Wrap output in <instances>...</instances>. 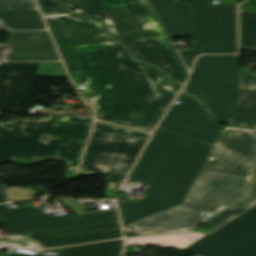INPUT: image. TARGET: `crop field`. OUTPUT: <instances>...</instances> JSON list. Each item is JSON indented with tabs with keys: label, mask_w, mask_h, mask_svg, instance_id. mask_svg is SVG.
I'll list each match as a JSON object with an SVG mask.
<instances>
[{
	"label": "crop field",
	"mask_w": 256,
	"mask_h": 256,
	"mask_svg": "<svg viewBox=\"0 0 256 256\" xmlns=\"http://www.w3.org/2000/svg\"><path fill=\"white\" fill-rule=\"evenodd\" d=\"M59 50L99 119L151 133L177 94L159 70L133 61L118 43Z\"/></svg>",
	"instance_id": "obj_1"
},
{
	"label": "crop field",
	"mask_w": 256,
	"mask_h": 256,
	"mask_svg": "<svg viewBox=\"0 0 256 256\" xmlns=\"http://www.w3.org/2000/svg\"><path fill=\"white\" fill-rule=\"evenodd\" d=\"M256 130L224 127L184 204L130 223L136 235L181 232L248 193ZM172 213L170 215H167Z\"/></svg>",
	"instance_id": "obj_2"
},
{
	"label": "crop field",
	"mask_w": 256,
	"mask_h": 256,
	"mask_svg": "<svg viewBox=\"0 0 256 256\" xmlns=\"http://www.w3.org/2000/svg\"><path fill=\"white\" fill-rule=\"evenodd\" d=\"M212 146L158 127L128 179L149 184L143 200L117 201L127 224L184 203Z\"/></svg>",
	"instance_id": "obj_3"
},
{
	"label": "crop field",
	"mask_w": 256,
	"mask_h": 256,
	"mask_svg": "<svg viewBox=\"0 0 256 256\" xmlns=\"http://www.w3.org/2000/svg\"><path fill=\"white\" fill-rule=\"evenodd\" d=\"M46 111L42 119L10 118L0 122V162L13 159L32 165L47 159L64 161L65 178L75 175L91 126V119Z\"/></svg>",
	"instance_id": "obj_4"
},
{
	"label": "crop field",
	"mask_w": 256,
	"mask_h": 256,
	"mask_svg": "<svg viewBox=\"0 0 256 256\" xmlns=\"http://www.w3.org/2000/svg\"><path fill=\"white\" fill-rule=\"evenodd\" d=\"M170 38L191 35L195 44L189 51H179L190 70L194 58L202 53H236V6L224 0H149Z\"/></svg>",
	"instance_id": "obj_5"
},
{
	"label": "crop field",
	"mask_w": 256,
	"mask_h": 256,
	"mask_svg": "<svg viewBox=\"0 0 256 256\" xmlns=\"http://www.w3.org/2000/svg\"><path fill=\"white\" fill-rule=\"evenodd\" d=\"M95 128L77 176H106L107 199H113L149 135L99 121Z\"/></svg>",
	"instance_id": "obj_6"
},
{
	"label": "crop field",
	"mask_w": 256,
	"mask_h": 256,
	"mask_svg": "<svg viewBox=\"0 0 256 256\" xmlns=\"http://www.w3.org/2000/svg\"><path fill=\"white\" fill-rule=\"evenodd\" d=\"M78 16L102 20L122 44L166 39L145 0H55Z\"/></svg>",
	"instance_id": "obj_7"
},
{
	"label": "crop field",
	"mask_w": 256,
	"mask_h": 256,
	"mask_svg": "<svg viewBox=\"0 0 256 256\" xmlns=\"http://www.w3.org/2000/svg\"><path fill=\"white\" fill-rule=\"evenodd\" d=\"M186 92L200 99L221 123L239 98L238 55H203L196 61Z\"/></svg>",
	"instance_id": "obj_8"
},
{
	"label": "crop field",
	"mask_w": 256,
	"mask_h": 256,
	"mask_svg": "<svg viewBox=\"0 0 256 256\" xmlns=\"http://www.w3.org/2000/svg\"><path fill=\"white\" fill-rule=\"evenodd\" d=\"M183 250L201 256H256V206Z\"/></svg>",
	"instance_id": "obj_9"
},
{
	"label": "crop field",
	"mask_w": 256,
	"mask_h": 256,
	"mask_svg": "<svg viewBox=\"0 0 256 256\" xmlns=\"http://www.w3.org/2000/svg\"><path fill=\"white\" fill-rule=\"evenodd\" d=\"M71 217L77 220L73 221ZM114 221H118L116 211L49 217L43 212L42 207L29 206L10 209L6 204L0 205V223L5 225L6 231L30 233Z\"/></svg>",
	"instance_id": "obj_10"
},
{
	"label": "crop field",
	"mask_w": 256,
	"mask_h": 256,
	"mask_svg": "<svg viewBox=\"0 0 256 256\" xmlns=\"http://www.w3.org/2000/svg\"><path fill=\"white\" fill-rule=\"evenodd\" d=\"M36 1L43 14L55 15L45 20L58 48L114 43L106 37L101 23L79 19L51 0Z\"/></svg>",
	"instance_id": "obj_11"
},
{
	"label": "crop field",
	"mask_w": 256,
	"mask_h": 256,
	"mask_svg": "<svg viewBox=\"0 0 256 256\" xmlns=\"http://www.w3.org/2000/svg\"><path fill=\"white\" fill-rule=\"evenodd\" d=\"M179 105L171 106L160 127L214 146L223 125L215 123L194 99L181 94Z\"/></svg>",
	"instance_id": "obj_12"
},
{
	"label": "crop field",
	"mask_w": 256,
	"mask_h": 256,
	"mask_svg": "<svg viewBox=\"0 0 256 256\" xmlns=\"http://www.w3.org/2000/svg\"><path fill=\"white\" fill-rule=\"evenodd\" d=\"M60 60L47 31L10 32L9 45L0 44V62Z\"/></svg>",
	"instance_id": "obj_13"
},
{
	"label": "crop field",
	"mask_w": 256,
	"mask_h": 256,
	"mask_svg": "<svg viewBox=\"0 0 256 256\" xmlns=\"http://www.w3.org/2000/svg\"><path fill=\"white\" fill-rule=\"evenodd\" d=\"M118 222L80 226L28 234L47 248L121 237Z\"/></svg>",
	"instance_id": "obj_14"
},
{
	"label": "crop field",
	"mask_w": 256,
	"mask_h": 256,
	"mask_svg": "<svg viewBox=\"0 0 256 256\" xmlns=\"http://www.w3.org/2000/svg\"><path fill=\"white\" fill-rule=\"evenodd\" d=\"M127 48L133 57L167 70L171 82L182 88L188 72L170 40L129 45Z\"/></svg>",
	"instance_id": "obj_15"
},
{
	"label": "crop field",
	"mask_w": 256,
	"mask_h": 256,
	"mask_svg": "<svg viewBox=\"0 0 256 256\" xmlns=\"http://www.w3.org/2000/svg\"><path fill=\"white\" fill-rule=\"evenodd\" d=\"M227 124L256 127V73L240 71V99Z\"/></svg>",
	"instance_id": "obj_16"
},
{
	"label": "crop field",
	"mask_w": 256,
	"mask_h": 256,
	"mask_svg": "<svg viewBox=\"0 0 256 256\" xmlns=\"http://www.w3.org/2000/svg\"><path fill=\"white\" fill-rule=\"evenodd\" d=\"M123 240L59 249L58 256H120ZM5 256H29L12 253Z\"/></svg>",
	"instance_id": "obj_17"
},
{
	"label": "crop field",
	"mask_w": 256,
	"mask_h": 256,
	"mask_svg": "<svg viewBox=\"0 0 256 256\" xmlns=\"http://www.w3.org/2000/svg\"><path fill=\"white\" fill-rule=\"evenodd\" d=\"M0 20L12 30L46 28L37 10L0 11Z\"/></svg>",
	"instance_id": "obj_18"
},
{
	"label": "crop field",
	"mask_w": 256,
	"mask_h": 256,
	"mask_svg": "<svg viewBox=\"0 0 256 256\" xmlns=\"http://www.w3.org/2000/svg\"><path fill=\"white\" fill-rule=\"evenodd\" d=\"M204 236L199 233H185V234H173V235H161V236H149V237H137L126 239V245L132 244H148V245H161L163 247H176L184 248L197 239Z\"/></svg>",
	"instance_id": "obj_19"
},
{
	"label": "crop field",
	"mask_w": 256,
	"mask_h": 256,
	"mask_svg": "<svg viewBox=\"0 0 256 256\" xmlns=\"http://www.w3.org/2000/svg\"><path fill=\"white\" fill-rule=\"evenodd\" d=\"M255 203H256V176H255L253 188L249 195L242 198L241 200L234 203L230 207L226 208L222 212L210 218L209 220L205 221L204 223L217 228Z\"/></svg>",
	"instance_id": "obj_20"
},
{
	"label": "crop field",
	"mask_w": 256,
	"mask_h": 256,
	"mask_svg": "<svg viewBox=\"0 0 256 256\" xmlns=\"http://www.w3.org/2000/svg\"><path fill=\"white\" fill-rule=\"evenodd\" d=\"M240 49L256 51V13L239 10Z\"/></svg>",
	"instance_id": "obj_21"
},
{
	"label": "crop field",
	"mask_w": 256,
	"mask_h": 256,
	"mask_svg": "<svg viewBox=\"0 0 256 256\" xmlns=\"http://www.w3.org/2000/svg\"><path fill=\"white\" fill-rule=\"evenodd\" d=\"M37 75L67 77L62 63H39Z\"/></svg>",
	"instance_id": "obj_22"
},
{
	"label": "crop field",
	"mask_w": 256,
	"mask_h": 256,
	"mask_svg": "<svg viewBox=\"0 0 256 256\" xmlns=\"http://www.w3.org/2000/svg\"><path fill=\"white\" fill-rule=\"evenodd\" d=\"M33 0H0V10L35 9Z\"/></svg>",
	"instance_id": "obj_23"
},
{
	"label": "crop field",
	"mask_w": 256,
	"mask_h": 256,
	"mask_svg": "<svg viewBox=\"0 0 256 256\" xmlns=\"http://www.w3.org/2000/svg\"><path fill=\"white\" fill-rule=\"evenodd\" d=\"M47 191H34L33 189H22L19 186L8 188L9 199L13 201L34 198L33 194Z\"/></svg>",
	"instance_id": "obj_24"
},
{
	"label": "crop field",
	"mask_w": 256,
	"mask_h": 256,
	"mask_svg": "<svg viewBox=\"0 0 256 256\" xmlns=\"http://www.w3.org/2000/svg\"><path fill=\"white\" fill-rule=\"evenodd\" d=\"M0 243L24 246V247H31V248H38V245L36 243L23 241V239L20 237L1 238Z\"/></svg>",
	"instance_id": "obj_25"
},
{
	"label": "crop field",
	"mask_w": 256,
	"mask_h": 256,
	"mask_svg": "<svg viewBox=\"0 0 256 256\" xmlns=\"http://www.w3.org/2000/svg\"><path fill=\"white\" fill-rule=\"evenodd\" d=\"M62 203H63L65 206H68L70 209H72L73 211H75V212H77V213H79V214L98 212V211L84 212V211L78 206V204H77L74 200H62Z\"/></svg>",
	"instance_id": "obj_26"
},
{
	"label": "crop field",
	"mask_w": 256,
	"mask_h": 256,
	"mask_svg": "<svg viewBox=\"0 0 256 256\" xmlns=\"http://www.w3.org/2000/svg\"><path fill=\"white\" fill-rule=\"evenodd\" d=\"M7 202L6 193L0 192V203Z\"/></svg>",
	"instance_id": "obj_27"
}]
</instances>
